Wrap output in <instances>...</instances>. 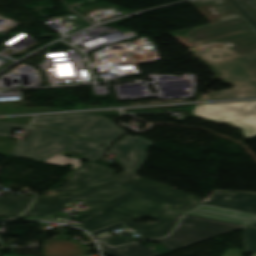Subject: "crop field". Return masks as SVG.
Returning a JSON list of instances; mask_svg holds the SVG:
<instances>
[{
    "label": "crop field",
    "instance_id": "4177f3b9",
    "mask_svg": "<svg viewBox=\"0 0 256 256\" xmlns=\"http://www.w3.org/2000/svg\"><path fill=\"white\" fill-rule=\"evenodd\" d=\"M14 145L15 143L0 136V154L3 152V155H9Z\"/></svg>",
    "mask_w": 256,
    "mask_h": 256
},
{
    "label": "crop field",
    "instance_id": "120bbe31",
    "mask_svg": "<svg viewBox=\"0 0 256 256\" xmlns=\"http://www.w3.org/2000/svg\"><path fill=\"white\" fill-rule=\"evenodd\" d=\"M25 220H53L57 221L55 218H26Z\"/></svg>",
    "mask_w": 256,
    "mask_h": 256
},
{
    "label": "crop field",
    "instance_id": "cbeb9de0",
    "mask_svg": "<svg viewBox=\"0 0 256 256\" xmlns=\"http://www.w3.org/2000/svg\"><path fill=\"white\" fill-rule=\"evenodd\" d=\"M102 251L111 256H158L139 242L110 248L98 242Z\"/></svg>",
    "mask_w": 256,
    "mask_h": 256
},
{
    "label": "crop field",
    "instance_id": "e1f06a70",
    "mask_svg": "<svg viewBox=\"0 0 256 256\" xmlns=\"http://www.w3.org/2000/svg\"><path fill=\"white\" fill-rule=\"evenodd\" d=\"M254 256H256V254H254Z\"/></svg>",
    "mask_w": 256,
    "mask_h": 256
},
{
    "label": "crop field",
    "instance_id": "22f410ed",
    "mask_svg": "<svg viewBox=\"0 0 256 256\" xmlns=\"http://www.w3.org/2000/svg\"><path fill=\"white\" fill-rule=\"evenodd\" d=\"M246 23L247 22L243 19V17L237 18V19H232V20H227V21L211 24V25L206 26V27H202V28H197V29L191 30L189 36H181V37L186 39V40H188V41H190V42H194V41L202 40V39L209 38V37L220 36V35L231 33V32H236V31H241V30H245V29H250L251 27L244 26V27H240V28H236V29H232V30H228V31L212 34V35H207V36H203V37H199V38H193V36H196V35H202V34H206V33H211V32H215V31L231 28V27L242 25V24H246ZM176 34L179 35L178 33H176Z\"/></svg>",
    "mask_w": 256,
    "mask_h": 256
},
{
    "label": "crop field",
    "instance_id": "ae1a2a85",
    "mask_svg": "<svg viewBox=\"0 0 256 256\" xmlns=\"http://www.w3.org/2000/svg\"><path fill=\"white\" fill-rule=\"evenodd\" d=\"M99 213V211L95 210L94 208L91 207V209L85 213H83L82 215L78 216L77 218H75V220H79V221H83L95 214Z\"/></svg>",
    "mask_w": 256,
    "mask_h": 256
},
{
    "label": "crop field",
    "instance_id": "00972430",
    "mask_svg": "<svg viewBox=\"0 0 256 256\" xmlns=\"http://www.w3.org/2000/svg\"><path fill=\"white\" fill-rule=\"evenodd\" d=\"M229 48L236 54L251 51L256 49V41L229 46Z\"/></svg>",
    "mask_w": 256,
    "mask_h": 256
},
{
    "label": "crop field",
    "instance_id": "d3111659",
    "mask_svg": "<svg viewBox=\"0 0 256 256\" xmlns=\"http://www.w3.org/2000/svg\"><path fill=\"white\" fill-rule=\"evenodd\" d=\"M256 28V8L244 15Z\"/></svg>",
    "mask_w": 256,
    "mask_h": 256
},
{
    "label": "crop field",
    "instance_id": "d8731c3e",
    "mask_svg": "<svg viewBox=\"0 0 256 256\" xmlns=\"http://www.w3.org/2000/svg\"><path fill=\"white\" fill-rule=\"evenodd\" d=\"M203 204L256 214V193L216 190Z\"/></svg>",
    "mask_w": 256,
    "mask_h": 256
},
{
    "label": "crop field",
    "instance_id": "5142ce71",
    "mask_svg": "<svg viewBox=\"0 0 256 256\" xmlns=\"http://www.w3.org/2000/svg\"><path fill=\"white\" fill-rule=\"evenodd\" d=\"M80 249L69 240H43L42 256H78Z\"/></svg>",
    "mask_w": 256,
    "mask_h": 256
},
{
    "label": "crop field",
    "instance_id": "92a150f3",
    "mask_svg": "<svg viewBox=\"0 0 256 256\" xmlns=\"http://www.w3.org/2000/svg\"><path fill=\"white\" fill-rule=\"evenodd\" d=\"M46 162H51L55 164L64 165L65 163L69 162L73 164V168L75 169L78 165H80V160L73 159V158H67L64 155L55 153L50 158L46 160Z\"/></svg>",
    "mask_w": 256,
    "mask_h": 256
},
{
    "label": "crop field",
    "instance_id": "28ad6ade",
    "mask_svg": "<svg viewBox=\"0 0 256 256\" xmlns=\"http://www.w3.org/2000/svg\"><path fill=\"white\" fill-rule=\"evenodd\" d=\"M99 146L100 143L73 136L64 155L74 158L78 155L80 156L79 159H86L88 161L97 160L104 156L108 147L107 145L103 148ZM75 152H77L76 155H74ZM82 153H85V155H82Z\"/></svg>",
    "mask_w": 256,
    "mask_h": 256
},
{
    "label": "crop field",
    "instance_id": "5a996713",
    "mask_svg": "<svg viewBox=\"0 0 256 256\" xmlns=\"http://www.w3.org/2000/svg\"><path fill=\"white\" fill-rule=\"evenodd\" d=\"M191 3L212 23L241 16L228 0H196Z\"/></svg>",
    "mask_w": 256,
    "mask_h": 256
},
{
    "label": "crop field",
    "instance_id": "750c4746",
    "mask_svg": "<svg viewBox=\"0 0 256 256\" xmlns=\"http://www.w3.org/2000/svg\"><path fill=\"white\" fill-rule=\"evenodd\" d=\"M255 7H256V0H252L250 3H248L246 6H244L239 11H241L244 15L247 12H249L250 10L254 9Z\"/></svg>",
    "mask_w": 256,
    "mask_h": 256
},
{
    "label": "crop field",
    "instance_id": "dafd665d",
    "mask_svg": "<svg viewBox=\"0 0 256 256\" xmlns=\"http://www.w3.org/2000/svg\"><path fill=\"white\" fill-rule=\"evenodd\" d=\"M27 125L0 121V134L10 135L13 128L25 129Z\"/></svg>",
    "mask_w": 256,
    "mask_h": 256
},
{
    "label": "crop field",
    "instance_id": "214f88e0",
    "mask_svg": "<svg viewBox=\"0 0 256 256\" xmlns=\"http://www.w3.org/2000/svg\"><path fill=\"white\" fill-rule=\"evenodd\" d=\"M236 97H244L234 88L227 90H220L208 94L201 95L200 100L205 99H215V98H236Z\"/></svg>",
    "mask_w": 256,
    "mask_h": 256
},
{
    "label": "crop field",
    "instance_id": "733c2abd",
    "mask_svg": "<svg viewBox=\"0 0 256 256\" xmlns=\"http://www.w3.org/2000/svg\"><path fill=\"white\" fill-rule=\"evenodd\" d=\"M251 39H256V32L254 30L240 32V33H236V34H232L224 37H219L217 39H211V40L196 42V43L201 46L223 44L225 47L228 44L232 45V44L240 43V42L251 40Z\"/></svg>",
    "mask_w": 256,
    "mask_h": 256
},
{
    "label": "crop field",
    "instance_id": "e52e79f7",
    "mask_svg": "<svg viewBox=\"0 0 256 256\" xmlns=\"http://www.w3.org/2000/svg\"><path fill=\"white\" fill-rule=\"evenodd\" d=\"M103 118L88 113L43 115L34 117L30 124L47 125L79 136Z\"/></svg>",
    "mask_w": 256,
    "mask_h": 256
},
{
    "label": "crop field",
    "instance_id": "8a807250",
    "mask_svg": "<svg viewBox=\"0 0 256 256\" xmlns=\"http://www.w3.org/2000/svg\"><path fill=\"white\" fill-rule=\"evenodd\" d=\"M68 186L59 187L47 196H36L32 206L21 216H27L72 201L76 198L101 211L79 226L93 232L111 224L123 221L143 237L122 239L112 237L100 240L110 246L159 238L169 234L178 224L183 213L199 203L203 198L171 188L155 181L136 178V175L123 172L114 175V170L92 163L85 164L69 175ZM152 196L127 190L125 188ZM151 216L158 222L136 224L135 220Z\"/></svg>",
    "mask_w": 256,
    "mask_h": 256
},
{
    "label": "crop field",
    "instance_id": "eef30255",
    "mask_svg": "<svg viewBox=\"0 0 256 256\" xmlns=\"http://www.w3.org/2000/svg\"><path fill=\"white\" fill-rule=\"evenodd\" d=\"M32 116H24V117H6L0 118L2 120L14 121V122H22V123H29Z\"/></svg>",
    "mask_w": 256,
    "mask_h": 256
},
{
    "label": "crop field",
    "instance_id": "d1516ede",
    "mask_svg": "<svg viewBox=\"0 0 256 256\" xmlns=\"http://www.w3.org/2000/svg\"><path fill=\"white\" fill-rule=\"evenodd\" d=\"M122 134L124 131L119 126L105 118L80 136L109 145Z\"/></svg>",
    "mask_w": 256,
    "mask_h": 256
},
{
    "label": "crop field",
    "instance_id": "bd1437ed",
    "mask_svg": "<svg viewBox=\"0 0 256 256\" xmlns=\"http://www.w3.org/2000/svg\"><path fill=\"white\" fill-rule=\"evenodd\" d=\"M230 1L239 10L251 0H230Z\"/></svg>",
    "mask_w": 256,
    "mask_h": 256
},
{
    "label": "crop field",
    "instance_id": "730fd06b",
    "mask_svg": "<svg viewBox=\"0 0 256 256\" xmlns=\"http://www.w3.org/2000/svg\"><path fill=\"white\" fill-rule=\"evenodd\" d=\"M63 207H65V206L62 205V206H59V207H56V208H52V209H49V210H46V211H43V212H40V213L33 214L32 216H35V217H49V216H52V214L54 212L60 210Z\"/></svg>",
    "mask_w": 256,
    "mask_h": 256
},
{
    "label": "crop field",
    "instance_id": "34b2d1b8",
    "mask_svg": "<svg viewBox=\"0 0 256 256\" xmlns=\"http://www.w3.org/2000/svg\"><path fill=\"white\" fill-rule=\"evenodd\" d=\"M243 226L186 214L181 218L179 226L168 237L155 241L173 251Z\"/></svg>",
    "mask_w": 256,
    "mask_h": 256
},
{
    "label": "crop field",
    "instance_id": "dd49c442",
    "mask_svg": "<svg viewBox=\"0 0 256 256\" xmlns=\"http://www.w3.org/2000/svg\"><path fill=\"white\" fill-rule=\"evenodd\" d=\"M151 145L152 142L140 136L127 135L113 145L110 151L115 153L124 171L136 174L141 169Z\"/></svg>",
    "mask_w": 256,
    "mask_h": 256
},
{
    "label": "crop field",
    "instance_id": "028f5c9d",
    "mask_svg": "<svg viewBox=\"0 0 256 256\" xmlns=\"http://www.w3.org/2000/svg\"><path fill=\"white\" fill-rule=\"evenodd\" d=\"M247 25H250V24H247ZM244 26V25H243ZM251 26V25H250ZM240 27V26H239ZM236 28V27H235ZM232 29V28H231ZM254 29V28H253ZM228 30V29H227ZM255 30V29H254ZM224 31V30H223ZM256 31V30H255ZM220 32V31H219ZM216 33V32H215ZM212 34V33H211ZM207 35V34H206ZM228 35V34H227ZM198 37V36H197ZM215 38H217V37H215ZM210 39V38H209ZM251 41H253V40H251ZM247 42H249V41H247Z\"/></svg>",
    "mask_w": 256,
    "mask_h": 256
},
{
    "label": "crop field",
    "instance_id": "5866460e",
    "mask_svg": "<svg viewBox=\"0 0 256 256\" xmlns=\"http://www.w3.org/2000/svg\"><path fill=\"white\" fill-rule=\"evenodd\" d=\"M2 256H22V255H11V254H5V255H2Z\"/></svg>",
    "mask_w": 256,
    "mask_h": 256
},
{
    "label": "crop field",
    "instance_id": "1d83c4d3",
    "mask_svg": "<svg viewBox=\"0 0 256 256\" xmlns=\"http://www.w3.org/2000/svg\"><path fill=\"white\" fill-rule=\"evenodd\" d=\"M244 251L228 249L223 256H242L241 253Z\"/></svg>",
    "mask_w": 256,
    "mask_h": 256
},
{
    "label": "crop field",
    "instance_id": "bc2a9ffb",
    "mask_svg": "<svg viewBox=\"0 0 256 256\" xmlns=\"http://www.w3.org/2000/svg\"><path fill=\"white\" fill-rule=\"evenodd\" d=\"M245 253H256V228H244Z\"/></svg>",
    "mask_w": 256,
    "mask_h": 256
},
{
    "label": "crop field",
    "instance_id": "f4fd0767",
    "mask_svg": "<svg viewBox=\"0 0 256 256\" xmlns=\"http://www.w3.org/2000/svg\"><path fill=\"white\" fill-rule=\"evenodd\" d=\"M193 114L241 128L245 138L256 135V101L197 104Z\"/></svg>",
    "mask_w": 256,
    "mask_h": 256
},
{
    "label": "crop field",
    "instance_id": "3316defc",
    "mask_svg": "<svg viewBox=\"0 0 256 256\" xmlns=\"http://www.w3.org/2000/svg\"><path fill=\"white\" fill-rule=\"evenodd\" d=\"M190 214L249 225L256 222V215L200 204Z\"/></svg>",
    "mask_w": 256,
    "mask_h": 256
},
{
    "label": "crop field",
    "instance_id": "ac0d7876",
    "mask_svg": "<svg viewBox=\"0 0 256 256\" xmlns=\"http://www.w3.org/2000/svg\"><path fill=\"white\" fill-rule=\"evenodd\" d=\"M227 47L201 49L194 53L202 56L220 75L245 97L256 96V51L236 55ZM217 55L216 58L211 56ZM237 84V86H235Z\"/></svg>",
    "mask_w": 256,
    "mask_h": 256
},
{
    "label": "crop field",
    "instance_id": "4a817a6b",
    "mask_svg": "<svg viewBox=\"0 0 256 256\" xmlns=\"http://www.w3.org/2000/svg\"><path fill=\"white\" fill-rule=\"evenodd\" d=\"M42 110H58V108H50V107H33L28 108L24 106H19L14 103H9L7 105H0V113H20V112H35Z\"/></svg>",
    "mask_w": 256,
    "mask_h": 256
},
{
    "label": "crop field",
    "instance_id": "d9b57169",
    "mask_svg": "<svg viewBox=\"0 0 256 256\" xmlns=\"http://www.w3.org/2000/svg\"><path fill=\"white\" fill-rule=\"evenodd\" d=\"M33 195L0 197V216L15 215L25 210Z\"/></svg>",
    "mask_w": 256,
    "mask_h": 256
},
{
    "label": "crop field",
    "instance_id": "a9b5d70f",
    "mask_svg": "<svg viewBox=\"0 0 256 256\" xmlns=\"http://www.w3.org/2000/svg\"><path fill=\"white\" fill-rule=\"evenodd\" d=\"M121 226H123L124 228L127 227L124 224H122L121 222H119L117 224H114L109 227L103 228L101 230L95 231V232H93V235L96 237V239L107 237V236H110L111 229L121 227Z\"/></svg>",
    "mask_w": 256,
    "mask_h": 256
},
{
    "label": "crop field",
    "instance_id": "412701ff",
    "mask_svg": "<svg viewBox=\"0 0 256 256\" xmlns=\"http://www.w3.org/2000/svg\"><path fill=\"white\" fill-rule=\"evenodd\" d=\"M28 130L24 141L10 139L17 143L11 156L44 161L55 152L63 154L72 138V135L47 127L29 125Z\"/></svg>",
    "mask_w": 256,
    "mask_h": 256
},
{
    "label": "crop field",
    "instance_id": "d32e631a",
    "mask_svg": "<svg viewBox=\"0 0 256 256\" xmlns=\"http://www.w3.org/2000/svg\"><path fill=\"white\" fill-rule=\"evenodd\" d=\"M77 253H78L80 256H84V253H83L82 250L77 251Z\"/></svg>",
    "mask_w": 256,
    "mask_h": 256
}]
</instances>
